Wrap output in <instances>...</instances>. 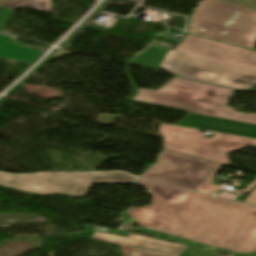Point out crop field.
Listing matches in <instances>:
<instances>
[{
	"mask_svg": "<svg viewBox=\"0 0 256 256\" xmlns=\"http://www.w3.org/2000/svg\"><path fill=\"white\" fill-rule=\"evenodd\" d=\"M163 147L171 151L204 158L217 163H222L224 165L230 164L229 160L227 159V154L196 150V149H190V148H184V147H178V146H172V145H166V144H163Z\"/></svg>",
	"mask_w": 256,
	"mask_h": 256,
	"instance_id": "obj_13",
	"label": "crop field"
},
{
	"mask_svg": "<svg viewBox=\"0 0 256 256\" xmlns=\"http://www.w3.org/2000/svg\"><path fill=\"white\" fill-rule=\"evenodd\" d=\"M129 256H178L158 251H152L142 248H134V250L131 252Z\"/></svg>",
	"mask_w": 256,
	"mask_h": 256,
	"instance_id": "obj_17",
	"label": "crop field"
},
{
	"mask_svg": "<svg viewBox=\"0 0 256 256\" xmlns=\"http://www.w3.org/2000/svg\"><path fill=\"white\" fill-rule=\"evenodd\" d=\"M190 33L254 49L256 12L240 7L202 0L190 19Z\"/></svg>",
	"mask_w": 256,
	"mask_h": 256,
	"instance_id": "obj_3",
	"label": "crop field"
},
{
	"mask_svg": "<svg viewBox=\"0 0 256 256\" xmlns=\"http://www.w3.org/2000/svg\"><path fill=\"white\" fill-rule=\"evenodd\" d=\"M94 239L118 244V245H124V244H130L150 249H156L161 251H166L174 254L181 255L182 252L187 248L186 246L176 245L172 243L162 242L138 235L131 234L128 238L108 234L104 232L97 231L95 232V235L93 237Z\"/></svg>",
	"mask_w": 256,
	"mask_h": 256,
	"instance_id": "obj_10",
	"label": "crop field"
},
{
	"mask_svg": "<svg viewBox=\"0 0 256 256\" xmlns=\"http://www.w3.org/2000/svg\"><path fill=\"white\" fill-rule=\"evenodd\" d=\"M166 52L167 49L150 45L142 53L135 55L130 62L156 68L159 67Z\"/></svg>",
	"mask_w": 256,
	"mask_h": 256,
	"instance_id": "obj_12",
	"label": "crop field"
},
{
	"mask_svg": "<svg viewBox=\"0 0 256 256\" xmlns=\"http://www.w3.org/2000/svg\"><path fill=\"white\" fill-rule=\"evenodd\" d=\"M216 165L163 149L156 163L140 177L194 191Z\"/></svg>",
	"mask_w": 256,
	"mask_h": 256,
	"instance_id": "obj_5",
	"label": "crop field"
},
{
	"mask_svg": "<svg viewBox=\"0 0 256 256\" xmlns=\"http://www.w3.org/2000/svg\"><path fill=\"white\" fill-rule=\"evenodd\" d=\"M172 73L239 90L256 85V72L181 53Z\"/></svg>",
	"mask_w": 256,
	"mask_h": 256,
	"instance_id": "obj_6",
	"label": "crop field"
},
{
	"mask_svg": "<svg viewBox=\"0 0 256 256\" xmlns=\"http://www.w3.org/2000/svg\"><path fill=\"white\" fill-rule=\"evenodd\" d=\"M159 134L164 137V143L231 153L248 145L256 146V140L234 137L215 133L212 139L204 138L206 134L199 130L160 125Z\"/></svg>",
	"mask_w": 256,
	"mask_h": 256,
	"instance_id": "obj_7",
	"label": "crop field"
},
{
	"mask_svg": "<svg viewBox=\"0 0 256 256\" xmlns=\"http://www.w3.org/2000/svg\"><path fill=\"white\" fill-rule=\"evenodd\" d=\"M11 9H6L0 7V30L3 31L2 26L6 20H8L11 17L12 14Z\"/></svg>",
	"mask_w": 256,
	"mask_h": 256,
	"instance_id": "obj_20",
	"label": "crop field"
},
{
	"mask_svg": "<svg viewBox=\"0 0 256 256\" xmlns=\"http://www.w3.org/2000/svg\"><path fill=\"white\" fill-rule=\"evenodd\" d=\"M256 252V251H255Z\"/></svg>",
	"mask_w": 256,
	"mask_h": 256,
	"instance_id": "obj_23",
	"label": "crop field"
},
{
	"mask_svg": "<svg viewBox=\"0 0 256 256\" xmlns=\"http://www.w3.org/2000/svg\"><path fill=\"white\" fill-rule=\"evenodd\" d=\"M5 1H7V0H0V4L3 3V2H5Z\"/></svg>",
	"mask_w": 256,
	"mask_h": 256,
	"instance_id": "obj_22",
	"label": "crop field"
},
{
	"mask_svg": "<svg viewBox=\"0 0 256 256\" xmlns=\"http://www.w3.org/2000/svg\"><path fill=\"white\" fill-rule=\"evenodd\" d=\"M233 91L178 77L157 91L139 88L131 102L256 124V114L227 106Z\"/></svg>",
	"mask_w": 256,
	"mask_h": 256,
	"instance_id": "obj_2",
	"label": "crop field"
},
{
	"mask_svg": "<svg viewBox=\"0 0 256 256\" xmlns=\"http://www.w3.org/2000/svg\"><path fill=\"white\" fill-rule=\"evenodd\" d=\"M220 164H218L214 170L205 178V180L199 185V187L196 189L197 192L205 193L212 195L216 192V190L219 188L218 186L209 185L212 178L214 177L216 171L218 170Z\"/></svg>",
	"mask_w": 256,
	"mask_h": 256,
	"instance_id": "obj_15",
	"label": "crop field"
},
{
	"mask_svg": "<svg viewBox=\"0 0 256 256\" xmlns=\"http://www.w3.org/2000/svg\"><path fill=\"white\" fill-rule=\"evenodd\" d=\"M176 125L256 139V125L187 113Z\"/></svg>",
	"mask_w": 256,
	"mask_h": 256,
	"instance_id": "obj_9",
	"label": "crop field"
},
{
	"mask_svg": "<svg viewBox=\"0 0 256 256\" xmlns=\"http://www.w3.org/2000/svg\"><path fill=\"white\" fill-rule=\"evenodd\" d=\"M215 255H216V253L205 252V251L197 250V249L190 248V247H188L185 250V252L182 254V256H215Z\"/></svg>",
	"mask_w": 256,
	"mask_h": 256,
	"instance_id": "obj_19",
	"label": "crop field"
},
{
	"mask_svg": "<svg viewBox=\"0 0 256 256\" xmlns=\"http://www.w3.org/2000/svg\"><path fill=\"white\" fill-rule=\"evenodd\" d=\"M15 41L13 37L0 33V58L30 64L42 53V51L19 46L20 44L17 45Z\"/></svg>",
	"mask_w": 256,
	"mask_h": 256,
	"instance_id": "obj_11",
	"label": "crop field"
},
{
	"mask_svg": "<svg viewBox=\"0 0 256 256\" xmlns=\"http://www.w3.org/2000/svg\"><path fill=\"white\" fill-rule=\"evenodd\" d=\"M252 10H256V0H216Z\"/></svg>",
	"mask_w": 256,
	"mask_h": 256,
	"instance_id": "obj_18",
	"label": "crop field"
},
{
	"mask_svg": "<svg viewBox=\"0 0 256 256\" xmlns=\"http://www.w3.org/2000/svg\"><path fill=\"white\" fill-rule=\"evenodd\" d=\"M244 203L256 205V188L247 196Z\"/></svg>",
	"mask_w": 256,
	"mask_h": 256,
	"instance_id": "obj_21",
	"label": "crop field"
},
{
	"mask_svg": "<svg viewBox=\"0 0 256 256\" xmlns=\"http://www.w3.org/2000/svg\"><path fill=\"white\" fill-rule=\"evenodd\" d=\"M134 179L122 172L18 176L0 174V185L40 195L84 198L92 184L133 183Z\"/></svg>",
	"mask_w": 256,
	"mask_h": 256,
	"instance_id": "obj_4",
	"label": "crop field"
},
{
	"mask_svg": "<svg viewBox=\"0 0 256 256\" xmlns=\"http://www.w3.org/2000/svg\"><path fill=\"white\" fill-rule=\"evenodd\" d=\"M174 50L256 71V52L187 34Z\"/></svg>",
	"mask_w": 256,
	"mask_h": 256,
	"instance_id": "obj_8",
	"label": "crop field"
},
{
	"mask_svg": "<svg viewBox=\"0 0 256 256\" xmlns=\"http://www.w3.org/2000/svg\"><path fill=\"white\" fill-rule=\"evenodd\" d=\"M1 6L11 9L27 7L47 13L50 12V0H9Z\"/></svg>",
	"mask_w": 256,
	"mask_h": 256,
	"instance_id": "obj_14",
	"label": "crop field"
},
{
	"mask_svg": "<svg viewBox=\"0 0 256 256\" xmlns=\"http://www.w3.org/2000/svg\"><path fill=\"white\" fill-rule=\"evenodd\" d=\"M180 53L174 50H168L165 58L163 59L160 68L171 72L175 62L177 61Z\"/></svg>",
	"mask_w": 256,
	"mask_h": 256,
	"instance_id": "obj_16",
	"label": "crop field"
},
{
	"mask_svg": "<svg viewBox=\"0 0 256 256\" xmlns=\"http://www.w3.org/2000/svg\"><path fill=\"white\" fill-rule=\"evenodd\" d=\"M136 184L153 197L149 206L127 211L140 227L239 253L256 250V207L142 179Z\"/></svg>",
	"mask_w": 256,
	"mask_h": 256,
	"instance_id": "obj_1",
	"label": "crop field"
}]
</instances>
